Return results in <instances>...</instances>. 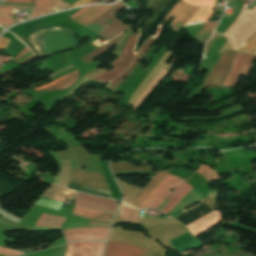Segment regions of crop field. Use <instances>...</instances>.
Masks as SVG:
<instances>
[{"label":"crop field","instance_id":"crop-field-1","mask_svg":"<svg viewBox=\"0 0 256 256\" xmlns=\"http://www.w3.org/2000/svg\"><path fill=\"white\" fill-rule=\"evenodd\" d=\"M171 177L172 175L163 171L157 173L147 187L135 195L129 203L142 208ZM183 181L173 176L143 208H157L162 200Z\"/></svg>","mask_w":256,"mask_h":256},{"label":"crop field","instance_id":"crop-field-2","mask_svg":"<svg viewBox=\"0 0 256 256\" xmlns=\"http://www.w3.org/2000/svg\"><path fill=\"white\" fill-rule=\"evenodd\" d=\"M124 7L126 6H124L123 3L120 4L85 27L104 37L107 41L110 40L119 33L132 27L131 25L121 23L113 16Z\"/></svg>","mask_w":256,"mask_h":256},{"label":"crop field","instance_id":"crop-field-3","mask_svg":"<svg viewBox=\"0 0 256 256\" xmlns=\"http://www.w3.org/2000/svg\"><path fill=\"white\" fill-rule=\"evenodd\" d=\"M136 37H137V34L134 33L130 37L120 57L110 63L114 68L109 70L107 73L93 79L94 81L96 82L111 81L112 79L116 78L120 73H122L126 68L129 67L134 57V52L132 51V48L135 44Z\"/></svg>","mask_w":256,"mask_h":256},{"label":"crop field","instance_id":"crop-field-4","mask_svg":"<svg viewBox=\"0 0 256 256\" xmlns=\"http://www.w3.org/2000/svg\"><path fill=\"white\" fill-rule=\"evenodd\" d=\"M236 51H224L221 53L219 61L213 67L209 77L203 87L222 85L229 75Z\"/></svg>","mask_w":256,"mask_h":256},{"label":"crop field","instance_id":"crop-field-5","mask_svg":"<svg viewBox=\"0 0 256 256\" xmlns=\"http://www.w3.org/2000/svg\"><path fill=\"white\" fill-rule=\"evenodd\" d=\"M254 56L255 55L252 54L238 52L235 58L233 69L223 85L234 88L240 75L248 77Z\"/></svg>","mask_w":256,"mask_h":256},{"label":"crop field","instance_id":"crop-field-6","mask_svg":"<svg viewBox=\"0 0 256 256\" xmlns=\"http://www.w3.org/2000/svg\"><path fill=\"white\" fill-rule=\"evenodd\" d=\"M202 203V202H201ZM200 203V204H201ZM199 204V205H200ZM198 206V205H197ZM196 206V207H197ZM195 208V207H194ZM193 209V208H192ZM189 209L187 211H184L182 214H180L178 217H176L175 219H179L181 218L184 214H186L187 212H189ZM222 216L220 214V212L217 211H213L187 225H185V227L191 232V234L193 236H199L200 234L204 233L205 231H207L208 229H210L212 226H214L216 223H218L221 220Z\"/></svg>","mask_w":256,"mask_h":256},{"label":"crop field","instance_id":"crop-field-7","mask_svg":"<svg viewBox=\"0 0 256 256\" xmlns=\"http://www.w3.org/2000/svg\"><path fill=\"white\" fill-rule=\"evenodd\" d=\"M109 228H79L65 230L67 242L75 240L105 239Z\"/></svg>","mask_w":256,"mask_h":256},{"label":"crop field","instance_id":"crop-field-8","mask_svg":"<svg viewBox=\"0 0 256 256\" xmlns=\"http://www.w3.org/2000/svg\"><path fill=\"white\" fill-rule=\"evenodd\" d=\"M91 242L68 244L65 256H87ZM104 242H92L89 256H101Z\"/></svg>","mask_w":256,"mask_h":256},{"label":"crop field","instance_id":"crop-field-9","mask_svg":"<svg viewBox=\"0 0 256 256\" xmlns=\"http://www.w3.org/2000/svg\"><path fill=\"white\" fill-rule=\"evenodd\" d=\"M146 249L117 242H107L104 256H143Z\"/></svg>","mask_w":256,"mask_h":256},{"label":"crop field","instance_id":"crop-field-10","mask_svg":"<svg viewBox=\"0 0 256 256\" xmlns=\"http://www.w3.org/2000/svg\"><path fill=\"white\" fill-rule=\"evenodd\" d=\"M199 8L194 6H189L181 1L165 16L164 22L174 16V20L171 23V29L174 25L179 22L184 24Z\"/></svg>","mask_w":256,"mask_h":256},{"label":"crop field","instance_id":"crop-field-11","mask_svg":"<svg viewBox=\"0 0 256 256\" xmlns=\"http://www.w3.org/2000/svg\"><path fill=\"white\" fill-rule=\"evenodd\" d=\"M70 181L108 190L104 178L96 173L72 170Z\"/></svg>","mask_w":256,"mask_h":256},{"label":"crop field","instance_id":"crop-field-12","mask_svg":"<svg viewBox=\"0 0 256 256\" xmlns=\"http://www.w3.org/2000/svg\"><path fill=\"white\" fill-rule=\"evenodd\" d=\"M186 4L201 7L186 23L201 20L207 21L209 16L212 14L211 10L215 0H181ZM184 25H187V24Z\"/></svg>","mask_w":256,"mask_h":256},{"label":"crop field","instance_id":"crop-field-13","mask_svg":"<svg viewBox=\"0 0 256 256\" xmlns=\"http://www.w3.org/2000/svg\"><path fill=\"white\" fill-rule=\"evenodd\" d=\"M120 3H122V2H120ZM120 3L114 4L111 6H92L87 11H85L84 13L80 14L75 19H73V21L85 26L88 23L95 20L100 15H102L103 13L109 11L111 8L119 5Z\"/></svg>","mask_w":256,"mask_h":256},{"label":"crop field","instance_id":"crop-field-14","mask_svg":"<svg viewBox=\"0 0 256 256\" xmlns=\"http://www.w3.org/2000/svg\"><path fill=\"white\" fill-rule=\"evenodd\" d=\"M170 242L172 246L180 252H184L191 248H198L203 245L199 240H197L187 232L171 240Z\"/></svg>","mask_w":256,"mask_h":256},{"label":"crop field","instance_id":"crop-field-15","mask_svg":"<svg viewBox=\"0 0 256 256\" xmlns=\"http://www.w3.org/2000/svg\"><path fill=\"white\" fill-rule=\"evenodd\" d=\"M155 42V40L153 39H149L145 45L143 46V48L141 49V51L135 56L134 62L132 64V66L130 68H128L124 73H122L118 78H116L114 81H111L109 83V85L106 87L108 89H110L111 91L114 92V90L117 88V86L120 84V82L130 73L132 72V70L134 69L136 63L139 61V59L141 57L144 56V54L149 50V48L153 45V43Z\"/></svg>","mask_w":256,"mask_h":256},{"label":"crop field","instance_id":"crop-field-16","mask_svg":"<svg viewBox=\"0 0 256 256\" xmlns=\"http://www.w3.org/2000/svg\"><path fill=\"white\" fill-rule=\"evenodd\" d=\"M185 183V182H184ZM183 183V184H184ZM182 184V185H183ZM182 185H180L175 191H173L168 198L173 195ZM192 187H190L188 184H184L172 197H170L160 208L159 210L167 213Z\"/></svg>","mask_w":256,"mask_h":256},{"label":"crop field","instance_id":"crop-field-17","mask_svg":"<svg viewBox=\"0 0 256 256\" xmlns=\"http://www.w3.org/2000/svg\"><path fill=\"white\" fill-rule=\"evenodd\" d=\"M73 214L76 216L98 220L102 222H107V223L110 222L113 216V215H109V214H105V213H101V212H97V211H93V210H89V209H85L77 206L74 207Z\"/></svg>","mask_w":256,"mask_h":256},{"label":"crop field","instance_id":"crop-field-18","mask_svg":"<svg viewBox=\"0 0 256 256\" xmlns=\"http://www.w3.org/2000/svg\"><path fill=\"white\" fill-rule=\"evenodd\" d=\"M74 194L75 191L52 184L43 194V196L64 202L66 198L70 199L74 196Z\"/></svg>","mask_w":256,"mask_h":256},{"label":"crop field","instance_id":"crop-field-19","mask_svg":"<svg viewBox=\"0 0 256 256\" xmlns=\"http://www.w3.org/2000/svg\"><path fill=\"white\" fill-rule=\"evenodd\" d=\"M123 33L118 35L117 37H115L110 42H108L105 45L93 50L91 53H89L88 55H86V56H84L80 59H82L86 63L95 60L96 58H98L99 56L104 54L106 51H108L111 47H113L117 43V41L122 37Z\"/></svg>","mask_w":256,"mask_h":256},{"label":"crop field","instance_id":"crop-field-20","mask_svg":"<svg viewBox=\"0 0 256 256\" xmlns=\"http://www.w3.org/2000/svg\"><path fill=\"white\" fill-rule=\"evenodd\" d=\"M65 218L41 214L35 225L60 228Z\"/></svg>","mask_w":256,"mask_h":256},{"label":"crop field","instance_id":"crop-field-21","mask_svg":"<svg viewBox=\"0 0 256 256\" xmlns=\"http://www.w3.org/2000/svg\"><path fill=\"white\" fill-rule=\"evenodd\" d=\"M54 0H36L34 11L30 18L38 17L51 12Z\"/></svg>","mask_w":256,"mask_h":256},{"label":"crop field","instance_id":"crop-field-22","mask_svg":"<svg viewBox=\"0 0 256 256\" xmlns=\"http://www.w3.org/2000/svg\"><path fill=\"white\" fill-rule=\"evenodd\" d=\"M216 24L217 22L205 23L194 36V38L203 43H206Z\"/></svg>","mask_w":256,"mask_h":256},{"label":"crop field","instance_id":"crop-field-23","mask_svg":"<svg viewBox=\"0 0 256 256\" xmlns=\"http://www.w3.org/2000/svg\"><path fill=\"white\" fill-rule=\"evenodd\" d=\"M139 209L122 204L116 217L136 220Z\"/></svg>","mask_w":256,"mask_h":256},{"label":"crop field","instance_id":"crop-field-24","mask_svg":"<svg viewBox=\"0 0 256 256\" xmlns=\"http://www.w3.org/2000/svg\"><path fill=\"white\" fill-rule=\"evenodd\" d=\"M255 48H256V34L248 42L244 43V45L241 47L240 51L245 52V53H253Z\"/></svg>","mask_w":256,"mask_h":256},{"label":"crop field","instance_id":"crop-field-25","mask_svg":"<svg viewBox=\"0 0 256 256\" xmlns=\"http://www.w3.org/2000/svg\"><path fill=\"white\" fill-rule=\"evenodd\" d=\"M79 77V73L78 74H75V75H73V76H71V77H69L68 79H66V80H64V81H62V82H60V83H58V84H56V85H54V86H52V87H49V88H47V89H44V90H52V89H54V88H57V87H59V86H62V85H64V84H66V83H68V82H70V81H72V80H74V79H76V78H78Z\"/></svg>","mask_w":256,"mask_h":256},{"label":"crop field","instance_id":"crop-field-26","mask_svg":"<svg viewBox=\"0 0 256 256\" xmlns=\"http://www.w3.org/2000/svg\"><path fill=\"white\" fill-rule=\"evenodd\" d=\"M0 254L7 255V256H13V255H20L23 254L22 252L14 251L7 248L0 247Z\"/></svg>","mask_w":256,"mask_h":256},{"label":"crop field","instance_id":"crop-field-27","mask_svg":"<svg viewBox=\"0 0 256 256\" xmlns=\"http://www.w3.org/2000/svg\"><path fill=\"white\" fill-rule=\"evenodd\" d=\"M221 35L220 34H217V33H213L209 43L207 44L206 46V49H205V55L206 53L209 51V49L213 46V44L218 40V38L220 37Z\"/></svg>","mask_w":256,"mask_h":256},{"label":"crop field","instance_id":"crop-field-28","mask_svg":"<svg viewBox=\"0 0 256 256\" xmlns=\"http://www.w3.org/2000/svg\"><path fill=\"white\" fill-rule=\"evenodd\" d=\"M69 5L65 4L62 0H55L53 11H58L67 8Z\"/></svg>","mask_w":256,"mask_h":256},{"label":"crop field","instance_id":"crop-field-29","mask_svg":"<svg viewBox=\"0 0 256 256\" xmlns=\"http://www.w3.org/2000/svg\"><path fill=\"white\" fill-rule=\"evenodd\" d=\"M66 78H68V77H67L66 75H64V76H62V77H60V78H58V79H56V80H54V81H52V82H50V83H48V84H45V85L40 86V87H37V88H35L34 90L37 91V90H40V89H43V88L52 86V85H54V84H56V83H58V82H60V81H62V80H64V79H66Z\"/></svg>","mask_w":256,"mask_h":256},{"label":"crop field","instance_id":"crop-field-30","mask_svg":"<svg viewBox=\"0 0 256 256\" xmlns=\"http://www.w3.org/2000/svg\"><path fill=\"white\" fill-rule=\"evenodd\" d=\"M106 71L107 70H105V69L100 70V69L97 68V69L93 70L92 72H90L89 74H87L85 76H87L88 78L92 79V78H94V77H96V76H98V75H100V74H102V73H104Z\"/></svg>","mask_w":256,"mask_h":256},{"label":"crop field","instance_id":"crop-field-31","mask_svg":"<svg viewBox=\"0 0 256 256\" xmlns=\"http://www.w3.org/2000/svg\"><path fill=\"white\" fill-rule=\"evenodd\" d=\"M35 0H6V2L12 3H27V4H34Z\"/></svg>","mask_w":256,"mask_h":256},{"label":"crop field","instance_id":"crop-field-32","mask_svg":"<svg viewBox=\"0 0 256 256\" xmlns=\"http://www.w3.org/2000/svg\"><path fill=\"white\" fill-rule=\"evenodd\" d=\"M8 42H9V39L1 37L0 38V49L6 48Z\"/></svg>","mask_w":256,"mask_h":256},{"label":"crop field","instance_id":"crop-field-33","mask_svg":"<svg viewBox=\"0 0 256 256\" xmlns=\"http://www.w3.org/2000/svg\"><path fill=\"white\" fill-rule=\"evenodd\" d=\"M80 1V0H79ZM91 0H81L80 2H78L77 4H75V5H71L72 7H70V8H73V7H77V6H81V5H84V4H86V3H88V2H90ZM69 8V7H68Z\"/></svg>","mask_w":256,"mask_h":256},{"label":"crop field","instance_id":"crop-field-34","mask_svg":"<svg viewBox=\"0 0 256 256\" xmlns=\"http://www.w3.org/2000/svg\"><path fill=\"white\" fill-rule=\"evenodd\" d=\"M87 8H89V7H85V8H83V9L79 10L78 12H76L75 14H73L72 16H70L71 19L74 18V17H76L77 15H79L80 13H82L83 11H85Z\"/></svg>","mask_w":256,"mask_h":256},{"label":"crop field","instance_id":"crop-field-35","mask_svg":"<svg viewBox=\"0 0 256 256\" xmlns=\"http://www.w3.org/2000/svg\"><path fill=\"white\" fill-rule=\"evenodd\" d=\"M76 80H77V79H76ZM76 80H74V81H72V82H70V83H68V84H66V85H64V86H62V87H60V88H58V89H55V90L65 89V88H67L68 86H70L71 84H73L74 82H76Z\"/></svg>","mask_w":256,"mask_h":256},{"label":"crop field","instance_id":"crop-field-36","mask_svg":"<svg viewBox=\"0 0 256 256\" xmlns=\"http://www.w3.org/2000/svg\"><path fill=\"white\" fill-rule=\"evenodd\" d=\"M29 52H30L29 50L27 52H25L22 56H20L17 60H15V62L18 61L20 58H22L23 56H25Z\"/></svg>","mask_w":256,"mask_h":256},{"label":"crop field","instance_id":"crop-field-37","mask_svg":"<svg viewBox=\"0 0 256 256\" xmlns=\"http://www.w3.org/2000/svg\"><path fill=\"white\" fill-rule=\"evenodd\" d=\"M26 50H27V47H26L16 58H18V57H19L22 53H24ZM16 58H15V59H16ZM15 59H14V60H15Z\"/></svg>","mask_w":256,"mask_h":256},{"label":"crop field","instance_id":"crop-field-38","mask_svg":"<svg viewBox=\"0 0 256 256\" xmlns=\"http://www.w3.org/2000/svg\"><path fill=\"white\" fill-rule=\"evenodd\" d=\"M58 178H59V176H56L53 182L57 184Z\"/></svg>","mask_w":256,"mask_h":256},{"label":"crop field","instance_id":"crop-field-39","mask_svg":"<svg viewBox=\"0 0 256 256\" xmlns=\"http://www.w3.org/2000/svg\"><path fill=\"white\" fill-rule=\"evenodd\" d=\"M32 59H33V58L27 60L26 62L22 63L20 66H22V65H24V64H26V63H28V62H30Z\"/></svg>","mask_w":256,"mask_h":256},{"label":"crop field","instance_id":"crop-field-40","mask_svg":"<svg viewBox=\"0 0 256 256\" xmlns=\"http://www.w3.org/2000/svg\"><path fill=\"white\" fill-rule=\"evenodd\" d=\"M32 56H34L33 54L32 55H30L29 57H27L26 59H24L22 62H24V61H26L27 59H29L30 57H32ZM22 62H20V63H22ZM19 63V64H20ZM18 65V64H17Z\"/></svg>","mask_w":256,"mask_h":256},{"label":"crop field","instance_id":"crop-field-41","mask_svg":"<svg viewBox=\"0 0 256 256\" xmlns=\"http://www.w3.org/2000/svg\"><path fill=\"white\" fill-rule=\"evenodd\" d=\"M97 0H93L91 3H94V2H96ZM90 4V3H89Z\"/></svg>","mask_w":256,"mask_h":256},{"label":"crop field","instance_id":"crop-field-42","mask_svg":"<svg viewBox=\"0 0 256 256\" xmlns=\"http://www.w3.org/2000/svg\"><path fill=\"white\" fill-rule=\"evenodd\" d=\"M254 53H256V50H255V52Z\"/></svg>","mask_w":256,"mask_h":256},{"label":"crop field","instance_id":"crop-field-43","mask_svg":"<svg viewBox=\"0 0 256 256\" xmlns=\"http://www.w3.org/2000/svg\"><path fill=\"white\" fill-rule=\"evenodd\" d=\"M1 28V27H0Z\"/></svg>","mask_w":256,"mask_h":256}]
</instances>
